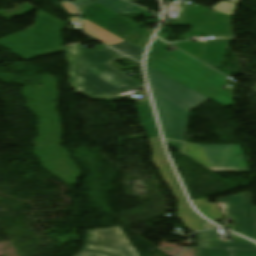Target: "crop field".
<instances>
[{
  "label": "crop field",
  "instance_id": "27",
  "mask_svg": "<svg viewBox=\"0 0 256 256\" xmlns=\"http://www.w3.org/2000/svg\"><path fill=\"white\" fill-rule=\"evenodd\" d=\"M201 224H202L204 230L216 228L215 225H213V224H211L209 222H204V223H201Z\"/></svg>",
  "mask_w": 256,
  "mask_h": 256
},
{
  "label": "crop field",
  "instance_id": "24",
  "mask_svg": "<svg viewBox=\"0 0 256 256\" xmlns=\"http://www.w3.org/2000/svg\"><path fill=\"white\" fill-rule=\"evenodd\" d=\"M63 8L70 14H74L77 15L76 13V9L74 8V6L72 4L66 3V2H62L60 3Z\"/></svg>",
  "mask_w": 256,
  "mask_h": 256
},
{
  "label": "crop field",
  "instance_id": "5",
  "mask_svg": "<svg viewBox=\"0 0 256 256\" xmlns=\"http://www.w3.org/2000/svg\"><path fill=\"white\" fill-rule=\"evenodd\" d=\"M152 92L166 144L181 150L188 111Z\"/></svg>",
  "mask_w": 256,
  "mask_h": 256
},
{
  "label": "crop field",
  "instance_id": "3",
  "mask_svg": "<svg viewBox=\"0 0 256 256\" xmlns=\"http://www.w3.org/2000/svg\"><path fill=\"white\" fill-rule=\"evenodd\" d=\"M63 22L38 10L36 24L27 30L0 40V46L24 60L63 52L60 32Z\"/></svg>",
  "mask_w": 256,
  "mask_h": 256
},
{
  "label": "crop field",
  "instance_id": "20",
  "mask_svg": "<svg viewBox=\"0 0 256 256\" xmlns=\"http://www.w3.org/2000/svg\"><path fill=\"white\" fill-rule=\"evenodd\" d=\"M111 47L126 54V55H129L130 57H132L133 59H135L137 61H142L144 50L136 47L135 45H133L127 41L119 43V44L111 46Z\"/></svg>",
  "mask_w": 256,
  "mask_h": 256
},
{
  "label": "crop field",
  "instance_id": "28",
  "mask_svg": "<svg viewBox=\"0 0 256 256\" xmlns=\"http://www.w3.org/2000/svg\"><path fill=\"white\" fill-rule=\"evenodd\" d=\"M70 21H79L77 17H70Z\"/></svg>",
  "mask_w": 256,
  "mask_h": 256
},
{
  "label": "crop field",
  "instance_id": "25",
  "mask_svg": "<svg viewBox=\"0 0 256 256\" xmlns=\"http://www.w3.org/2000/svg\"><path fill=\"white\" fill-rule=\"evenodd\" d=\"M192 32H193V33L184 35V36H183L184 39H186V37H191V36H201V35H204V36H212V35H210V34H207V33L203 32V31H200V30H198V29H193Z\"/></svg>",
  "mask_w": 256,
  "mask_h": 256
},
{
  "label": "crop field",
  "instance_id": "21",
  "mask_svg": "<svg viewBox=\"0 0 256 256\" xmlns=\"http://www.w3.org/2000/svg\"><path fill=\"white\" fill-rule=\"evenodd\" d=\"M205 43H197V42H180L171 44L180 50L188 53L189 55L198 58L203 46Z\"/></svg>",
  "mask_w": 256,
  "mask_h": 256
},
{
  "label": "crop field",
  "instance_id": "30",
  "mask_svg": "<svg viewBox=\"0 0 256 256\" xmlns=\"http://www.w3.org/2000/svg\"><path fill=\"white\" fill-rule=\"evenodd\" d=\"M127 1H129V2H133V1H135V0H127Z\"/></svg>",
  "mask_w": 256,
  "mask_h": 256
},
{
  "label": "crop field",
  "instance_id": "16",
  "mask_svg": "<svg viewBox=\"0 0 256 256\" xmlns=\"http://www.w3.org/2000/svg\"><path fill=\"white\" fill-rule=\"evenodd\" d=\"M142 121V125L148 135L160 136L151 106H137Z\"/></svg>",
  "mask_w": 256,
  "mask_h": 256
},
{
  "label": "crop field",
  "instance_id": "8",
  "mask_svg": "<svg viewBox=\"0 0 256 256\" xmlns=\"http://www.w3.org/2000/svg\"><path fill=\"white\" fill-rule=\"evenodd\" d=\"M217 201L225 202L226 215L235 217L234 231L256 241V207H252L251 194L244 192Z\"/></svg>",
  "mask_w": 256,
  "mask_h": 256
},
{
  "label": "crop field",
  "instance_id": "18",
  "mask_svg": "<svg viewBox=\"0 0 256 256\" xmlns=\"http://www.w3.org/2000/svg\"><path fill=\"white\" fill-rule=\"evenodd\" d=\"M194 206L211 221L221 220L223 216L218 210L217 203H208L207 199L193 200Z\"/></svg>",
  "mask_w": 256,
  "mask_h": 256
},
{
  "label": "crop field",
  "instance_id": "9",
  "mask_svg": "<svg viewBox=\"0 0 256 256\" xmlns=\"http://www.w3.org/2000/svg\"><path fill=\"white\" fill-rule=\"evenodd\" d=\"M180 22L215 36L230 35L229 17L206 8L183 4Z\"/></svg>",
  "mask_w": 256,
  "mask_h": 256
},
{
  "label": "crop field",
  "instance_id": "1",
  "mask_svg": "<svg viewBox=\"0 0 256 256\" xmlns=\"http://www.w3.org/2000/svg\"><path fill=\"white\" fill-rule=\"evenodd\" d=\"M65 50L71 64L70 82L77 92L99 98L143 86L107 64L125 58L108 48L85 51L75 45Z\"/></svg>",
  "mask_w": 256,
  "mask_h": 256
},
{
  "label": "crop field",
  "instance_id": "12",
  "mask_svg": "<svg viewBox=\"0 0 256 256\" xmlns=\"http://www.w3.org/2000/svg\"><path fill=\"white\" fill-rule=\"evenodd\" d=\"M197 235V248H210V249H244L256 250V244L235 236V242H219L215 236L214 230L199 232Z\"/></svg>",
  "mask_w": 256,
  "mask_h": 256
},
{
  "label": "crop field",
  "instance_id": "2",
  "mask_svg": "<svg viewBox=\"0 0 256 256\" xmlns=\"http://www.w3.org/2000/svg\"><path fill=\"white\" fill-rule=\"evenodd\" d=\"M146 65L223 106L232 105L230 93L220 91L226 77L177 49Z\"/></svg>",
  "mask_w": 256,
  "mask_h": 256
},
{
  "label": "crop field",
  "instance_id": "29",
  "mask_svg": "<svg viewBox=\"0 0 256 256\" xmlns=\"http://www.w3.org/2000/svg\"><path fill=\"white\" fill-rule=\"evenodd\" d=\"M230 1L237 3V2H239L240 0H230Z\"/></svg>",
  "mask_w": 256,
  "mask_h": 256
},
{
  "label": "crop field",
  "instance_id": "22",
  "mask_svg": "<svg viewBox=\"0 0 256 256\" xmlns=\"http://www.w3.org/2000/svg\"><path fill=\"white\" fill-rule=\"evenodd\" d=\"M168 47H170V45L160 41L158 38H155L148 52L146 62L168 53V51L164 50Z\"/></svg>",
  "mask_w": 256,
  "mask_h": 256
},
{
  "label": "crop field",
  "instance_id": "10",
  "mask_svg": "<svg viewBox=\"0 0 256 256\" xmlns=\"http://www.w3.org/2000/svg\"><path fill=\"white\" fill-rule=\"evenodd\" d=\"M79 10L82 17L97 23L126 40L134 26V24L93 1Z\"/></svg>",
  "mask_w": 256,
  "mask_h": 256
},
{
  "label": "crop field",
  "instance_id": "6",
  "mask_svg": "<svg viewBox=\"0 0 256 256\" xmlns=\"http://www.w3.org/2000/svg\"><path fill=\"white\" fill-rule=\"evenodd\" d=\"M146 74L151 90L188 111L208 99L147 66Z\"/></svg>",
  "mask_w": 256,
  "mask_h": 256
},
{
  "label": "crop field",
  "instance_id": "13",
  "mask_svg": "<svg viewBox=\"0 0 256 256\" xmlns=\"http://www.w3.org/2000/svg\"><path fill=\"white\" fill-rule=\"evenodd\" d=\"M92 0H74L73 4L77 5L78 8H81L85 4L89 3ZM102 6L108 8L109 10L119 14H139V13H149L147 10H144L136 5L125 3L121 0H93Z\"/></svg>",
  "mask_w": 256,
  "mask_h": 256
},
{
  "label": "crop field",
  "instance_id": "11",
  "mask_svg": "<svg viewBox=\"0 0 256 256\" xmlns=\"http://www.w3.org/2000/svg\"><path fill=\"white\" fill-rule=\"evenodd\" d=\"M218 171L249 172L240 145H201Z\"/></svg>",
  "mask_w": 256,
  "mask_h": 256
},
{
  "label": "crop field",
  "instance_id": "14",
  "mask_svg": "<svg viewBox=\"0 0 256 256\" xmlns=\"http://www.w3.org/2000/svg\"><path fill=\"white\" fill-rule=\"evenodd\" d=\"M226 41L227 39L207 41L199 60L207 63V65L211 67L216 68L228 44Z\"/></svg>",
  "mask_w": 256,
  "mask_h": 256
},
{
  "label": "crop field",
  "instance_id": "7",
  "mask_svg": "<svg viewBox=\"0 0 256 256\" xmlns=\"http://www.w3.org/2000/svg\"><path fill=\"white\" fill-rule=\"evenodd\" d=\"M83 249L105 252L111 256H138L120 227L87 231Z\"/></svg>",
  "mask_w": 256,
  "mask_h": 256
},
{
  "label": "crop field",
  "instance_id": "26",
  "mask_svg": "<svg viewBox=\"0 0 256 256\" xmlns=\"http://www.w3.org/2000/svg\"><path fill=\"white\" fill-rule=\"evenodd\" d=\"M75 256H109V255H102V254H98V253H93V252H88V251L81 250Z\"/></svg>",
  "mask_w": 256,
  "mask_h": 256
},
{
  "label": "crop field",
  "instance_id": "17",
  "mask_svg": "<svg viewBox=\"0 0 256 256\" xmlns=\"http://www.w3.org/2000/svg\"><path fill=\"white\" fill-rule=\"evenodd\" d=\"M182 151L184 154L188 155L208 169L217 171L202 147L185 144Z\"/></svg>",
  "mask_w": 256,
  "mask_h": 256
},
{
  "label": "crop field",
  "instance_id": "19",
  "mask_svg": "<svg viewBox=\"0 0 256 256\" xmlns=\"http://www.w3.org/2000/svg\"><path fill=\"white\" fill-rule=\"evenodd\" d=\"M197 256H256V251L197 249Z\"/></svg>",
  "mask_w": 256,
  "mask_h": 256
},
{
  "label": "crop field",
  "instance_id": "23",
  "mask_svg": "<svg viewBox=\"0 0 256 256\" xmlns=\"http://www.w3.org/2000/svg\"><path fill=\"white\" fill-rule=\"evenodd\" d=\"M211 9L220 11V12L226 14V15L233 16V14L235 13V10H236V5L221 2V3L213 6Z\"/></svg>",
  "mask_w": 256,
  "mask_h": 256
},
{
  "label": "crop field",
  "instance_id": "4",
  "mask_svg": "<svg viewBox=\"0 0 256 256\" xmlns=\"http://www.w3.org/2000/svg\"><path fill=\"white\" fill-rule=\"evenodd\" d=\"M149 141L153 152L152 160L154 164L160 169L162 177L169 184L174 195L179 200L177 212L178 218L181 219L185 226L191 230L188 232L202 230L200 222L205 220L199 217L189 206L178 180L167 160L161 139L149 137Z\"/></svg>",
  "mask_w": 256,
  "mask_h": 256
},
{
  "label": "crop field",
  "instance_id": "15",
  "mask_svg": "<svg viewBox=\"0 0 256 256\" xmlns=\"http://www.w3.org/2000/svg\"><path fill=\"white\" fill-rule=\"evenodd\" d=\"M82 23L84 26V31L87 34L91 35L92 37L98 39L99 41H101L109 46L117 44L122 41H125L124 39L106 31L102 27L98 26L97 24H95L87 19H82Z\"/></svg>",
  "mask_w": 256,
  "mask_h": 256
}]
</instances>
